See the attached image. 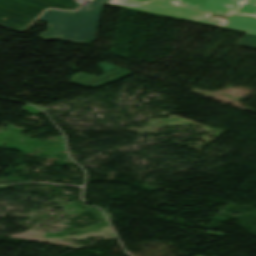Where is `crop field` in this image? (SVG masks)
Wrapping results in <instances>:
<instances>
[{"instance_id": "crop-field-4", "label": "crop field", "mask_w": 256, "mask_h": 256, "mask_svg": "<svg viewBox=\"0 0 256 256\" xmlns=\"http://www.w3.org/2000/svg\"><path fill=\"white\" fill-rule=\"evenodd\" d=\"M204 12H231L256 16V0H177Z\"/></svg>"}, {"instance_id": "crop-field-3", "label": "crop field", "mask_w": 256, "mask_h": 256, "mask_svg": "<svg viewBox=\"0 0 256 256\" xmlns=\"http://www.w3.org/2000/svg\"><path fill=\"white\" fill-rule=\"evenodd\" d=\"M106 5L215 27L223 23L222 20L208 18L212 14L198 12L172 0H110Z\"/></svg>"}, {"instance_id": "crop-field-5", "label": "crop field", "mask_w": 256, "mask_h": 256, "mask_svg": "<svg viewBox=\"0 0 256 256\" xmlns=\"http://www.w3.org/2000/svg\"><path fill=\"white\" fill-rule=\"evenodd\" d=\"M219 28L256 35V18L231 13Z\"/></svg>"}, {"instance_id": "crop-field-1", "label": "crop field", "mask_w": 256, "mask_h": 256, "mask_svg": "<svg viewBox=\"0 0 256 256\" xmlns=\"http://www.w3.org/2000/svg\"><path fill=\"white\" fill-rule=\"evenodd\" d=\"M109 0H94L77 12L48 10L39 20L50 24V29L38 38L45 41L63 38L77 43L94 41L97 38L104 4Z\"/></svg>"}, {"instance_id": "crop-field-2", "label": "crop field", "mask_w": 256, "mask_h": 256, "mask_svg": "<svg viewBox=\"0 0 256 256\" xmlns=\"http://www.w3.org/2000/svg\"><path fill=\"white\" fill-rule=\"evenodd\" d=\"M73 0H0V24L22 31L47 8L76 10Z\"/></svg>"}, {"instance_id": "crop-field-6", "label": "crop field", "mask_w": 256, "mask_h": 256, "mask_svg": "<svg viewBox=\"0 0 256 256\" xmlns=\"http://www.w3.org/2000/svg\"><path fill=\"white\" fill-rule=\"evenodd\" d=\"M238 46L256 50V36L246 34Z\"/></svg>"}]
</instances>
